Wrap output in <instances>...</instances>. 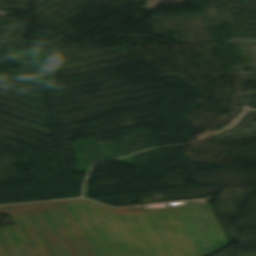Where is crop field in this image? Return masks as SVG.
Wrapping results in <instances>:
<instances>
[{"label": "crop field", "mask_w": 256, "mask_h": 256, "mask_svg": "<svg viewBox=\"0 0 256 256\" xmlns=\"http://www.w3.org/2000/svg\"><path fill=\"white\" fill-rule=\"evenodd\" d=\"M77 209L78 210L89 211V212L101 213V214H104L106 212L105 210H99V209L82 207V206H79Z\"/></svg>", "instance_id": "crop-field-1"}]
</instances>
